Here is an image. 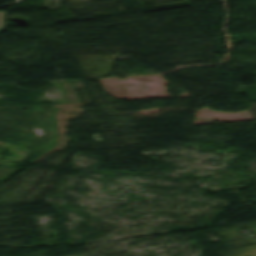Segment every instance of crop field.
<instances>
[{"label": "crop field", "instance_id": "obj_1", "mask_svg": "<svg viewBox=\"0 0 256 256\" xmlns=\"http://www.w3.org/2000/svg\"><path fill=\"white\" fill-rule=\"evenodd\" d=\"M6 12H0V33L3 32Z\"/></svg>", "mask_w": 256, "mask_h": 256}]
</instances>
